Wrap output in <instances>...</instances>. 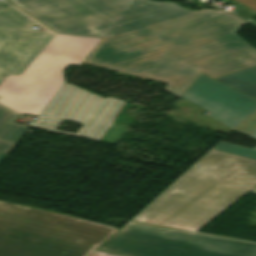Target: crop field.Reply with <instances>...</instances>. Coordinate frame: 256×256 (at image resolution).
<instances>
[{
    "label": "crop field",
    "instance_id": "crop-field-1",
    "mask_svg": "<svg viewBox=\"0 0 256 256\" xmlns=\"http://www.w3.org/2000/svg\"><path fill=\"white\" fill-rule=\"evenodd\" d=\"M56 33L103 38L84 63L166 83L181 97L212 78L256 66L234 15L151 0H10Z\"/></svg>",
    "mask_w": 256,
    "mask_h": 256
},
{
    "label": "crop field",
    "instance_id": "crop-field-2",
    "mask_svg": "<svg viewBox=\"0 0 256 256\" xmlns=\"http://www.w3.org/2000/svg\"><path fill=\"white\" fill-rule=\"evenodd\" d=\"M6 2L49 31L31 30L34 22L0 3V103L18 113L39 115L65 83L63 71L79 66L101 39L56 34Z\"/></svg>",
    "mask_w": 256,
    "mask_h": 256
},
{
    "label": "crop field",
    "instance_id": "crop-field-3",
    "mask_svg": "<svg viewBox=\"0 0 256 256\" xmlns=\"http://www.w3.org/2000/svg\"><path fill=\"white\" fill-rule=\"evenodd\" d=\"M255 186L256 160L210 149L132 221L196 232Z\"/></svg>",
    "mask_w": 256,
    "mask_h": 256
},
{
    "label": "crop field",
    "instance_id": "crop-field-4",
    "mask_svg": "<svg viewBox=\"0 0 256 256\" xmlns=\"http://www.w3.org/2000/svg\"><path fill=\"white\" fill-rule=\"evenodd\" d=\"M117 230L0 202V256H89Z\"/></svg>",
    "mask_w": 256,
    "mask_h": 256
},
{
    "label": "crop field",
    "instance_id": "crop-field-5",
    "mask_svg": "<svg viewBox=\"0 0 256 256\" xmlns=\"http://www.w3.org/2000/svg\"><path fill=\"white\" fill-rule=\"evenodd\" d=\"M99 249L126 256H256V244L133 222Z\"/></svg>",
    "mask_w": 256,
    "mask_h": 256
},
{
    "label": "crop field",
    "instance_id": "crop-field-6",
    "mask_svg": "<svg viewBox=\"0 0 256 256\" xmlns=\"http://www.w3.org/2000/svg\"><path fill=\"white\" fill-rule=\"evenodd\" d=\"M123 105L115 98L102 99L65 83L32 127L100 141ZM65 120L84 125L77 135L56 130Z\"/></svg>",
    "mask_w": 256,
    "mask_h": 256
},
{
    "label": "crop field",
    "instance_id": "crop-field-7",
    "mask_svg": "<svg viewBox=\"0 0 256 256\" xmlns=\"http://www.w3.org/2000/svg\"><path fill=\"white\" fill-rule=\"evenodd\" d=\"M182 98L211 112L209 116L231 129L256 109V99L241 94L202 74Z\"/></svg>",
    "mask_w": 256,
    "mask_h": 256
},
{
    "label": "crop field",
    "instance_id": "crop-field-8",
    "mask_svg": "<svg viewBox=\"0 0 256 256\" xmlns=\"http://www.w3.org/2000/svg\"><path fill=\"white\" fill-rule=\"evenodd\" d=\"M216 80L256 98V67L219 77Z\"/></svg>",
    "mask_w": 256,
    "mask_h": 256
},
{
    "label": "crop field",
    "instance_id": "crop-field-9",
    "mask_svg": "<svg viewBox=\"0 0 256 256\" xmlns=\"http://www.w3.org/2000/svg\"><path fill=\"white\" fill-rule=\"evenodd\" d=\"M19 115L10 111L0 123V141L15 144L20 136L29 127L18 125L12 122Z\"/></svg>",
    "mask_w": 256,
    "mask_h": 256
},
{
    "label": "crop field",
    "instance_id": "crop-field-10",
    "mask_svg": "<svg viewBox=\"0 0 256 256\" xmlns=\"http://www.w3.org/2000/svg\"><path fill=\"white\" fill-rule=\"evenodd\" d=\"M249 137L256 139V130H254L249 135ZM212 149H216V150H220V151L256 159V147L250 149V148H246V147H242V146H238V145L220 141L214 147H212Z\"/></svg>",
    "mask_w": 256,
    "mask_h": 256
},
{
    "label": "crop field",
    "instance_id": "crop-field-11",
    "mask_svg": "<svg viewBox=\"0 0 256 256\" xmlns=\"http://www.w3.org/2000/svg\"><path fill=\"white\" fill-rule=\"evenodd\" d=\"M256 128V110L233 130L248 136Z\"/></svg>",
    "mask_w": 256,
    "mask_h": 256
},
{
    "label": "crop field",
    "instance_id": "crop-field-12",
    "mask_svg": "<svg viewBox=\"0 0 256 256\" xmlns=\"http://www.w3.org/2000/svg\"><path fill=\"white\" fill-rule=\"evenodd\" d=\"M9 111L10 110L0 105V122L7 115ZM12 146H13L12 144L0 142V153L6 154Z\"/></svg>",
    "mask_w": 256,
    "mask_h": 256
},
{
    "label": "crop field",
    "instance_id": "crop-field-13",
    "mask_svg": "<svg viewBox=\"0 0 256 256\" xmlns=\"http://www.w3.org/2000/svg\"><path fill=\"white\" fill-rule=\"evenodd\" d=\"M237 1L256 11V0H237Z\"/></svg>",
    "mask_w": 256,
    "mask_h": 256
},
{
    "label": "crop field",
    "instance_id": "crop-field-14",
    "mask_svg": "<svg viewBox=\"0 0 256 256\" xmlns=\"http://www.w3.org/2000/svg\"><path fill=\"white\" fill-rule=\"evenodd\" d=\"M90 256H118V255H114V254H110V253H106V252H102V251H98L96 250L93 254H91Z\"/></svg>",
    "mask_w": 256,
    "mask_h": 256
},
{
    "label": "crop field",
    "instance_id": "crop-field-15",
    "mask_svg": "<svg viewBox=\"0 0 256 256\" xmlns=\"http://www.w3.org/2000/svg\"><path fill=\"white\" fill-rule=\"evenodd\" d=\"M251 192L256 193V187Z\"/></svg>",
    "mask_w": 256,
    "mask_h": 256
},
{
    "label": "crop field",
    "instance_id": "crop-field-16",
    "mask_svg": "<svg viewBox=\"0 0 256 256\" xmlns=\"http://www.w3.org/2000/svg\"><path fill=\"white\" fill-rule=\"evenodd\" d=\"M4 157V155L3 154H0V161H1V159Z\"/></svg>",
    "mask_w": 256,
    "mask_h": 256
}]
</instances>
